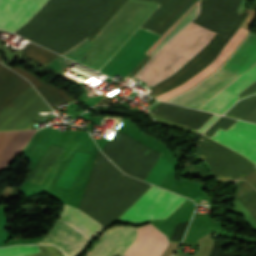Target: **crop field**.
Listing matches in <instances>:
<instances>
[{"label": "crop field", "mask_w": 256, "mask_h": 256, "mask_svg": "<svg viewBox=\"0 0 256 256\" xmlns=\"http://www.w3.org/2000/svg\"><path fill=\"white\" fill-rule=\"evenodd\" d=\"M46 1L0 0V28L14 32ZM114 1L49 0L24 27L14 33L62 54L98 26Z\"/></svg>", "instance_id": "obj_1"}, {"label": "crop field", "mask_w": 256, "mask_h": 256, "mask_svg": "<svg viewBox=\"0 0 256 256\" xmlns=\"http://www.w3.org/2000/svg\"><path fill=\"white\" fill-rule=\"evenodd\" d=\"M149 187L97 152L78 209L107 228Z\"/></svg>", "instance_id": "obj_2"}, {"label": "crop field", "mask_w": 256, "mask_h": 256, "mask_svg": "<svg viewBox=\"0 0 256 256\" xmlns=\"http://www.w3.org/2000/svg\"><path fill=\"white\" fill-rule=\"evenodd\" d=\"M157 7L153 3L129 0L91 42L86 38L63 55L99 70Z\"/></svg>", "instance_id": "obj_3"}, {"label": "crop field", "mask_w": 256, "mask_h": 256, "mask_svg": "<svg viewBox=\"0 0 256 256\" xmlns=\"http://www.w3.org/2000/svg\"><path fill=\"white\" fill-rule=\"evenodd\" d=\"M213 35L192 23L187 24L135 78L151 86L159 83L195 56Z\"/></svg>", "instance_id": "obj_4"}, {"label": "crop field", "mask_w": 256, "mask_h": 256, "mask_svg": "<svg viewBox=\"0 0 256 256\" xmlns=\"http://www.w3.org/2000/svg\"><path fill=\"white\" fill-rule=\"evenodd\" d=\"M256 64V35L248 34L229 59L220 67L241 75ZM218 68L201 82L168 102L197 109L239 75Z\"/></svg>", "instance_id": "obj_5"}, {"label": "crop field", "mask_w": 256, "mask_h": 256, "mask_svg": "<svg viewBox=\"0 0 256 256\" xmlns=\"http://www.w3.org/2000/svg\"><path fill=\"white\" fill-rule=\"evenodd\" d=\"M204 159L210 167V172L218 179L223 178H242L255 166L248 162L242 156L201 137L197 142V151L195 153Z\"/></svg>", "instance_id": "obj_6"}, {"label": "crop field", "mask_w": 256, "mask_h": 256, "mask_svg": "<svg viewBox=\"0 0 256 256\" xmlns=\"http://www.w3.org/2000/svg\"><path fill=\"white\" fill-rule=\"evenodd\" d=\"M185 200L152 186L119 220L138 224L152 219H166Z\"/></svg>", "instance_id": "obj_7"}, {"label": "crop field", "mask_w": 256, "mask_h": 256, "mask_svg": "<svg viewBox=\"0 0 256 256\" xmlns=\"http://www.w3.org/2000/svg\"><path fill=\"white\" fill-rule=\"evenodd\" d=\"M38 111L52 110L30 85L0 110V130L30 129Z\"/></svg>", "instance_id": "obj_8"}, {"label": "crop field", "mask_w": 256, "mask_h": 256, "mask_svg": "<svg viewBox=\"0 0 256 256\" xmlns=\"http://www.w3.org/2000/svg\"><path fill=\"white\" fill-rule=\"evenodd\" d=\"M248 11L249 9L245 8L244 12L240 16L239 20L237 21L227 38L215 34L211 41L186 66L180 69L172 77L152 87L151 89H153L154 91L150 92L149 94L158 95L162 92L170 90L190 79L196 73L200 72L203 68H205L209 63H211L216 55L219 53V51L222 49V47L230 39L231 35L238 29L239 25L244 20Z\"/></svg>", "instance_id": "obj_9"}, {"label": "crop field", "mask_w": 256, "mask_h": 256, "mask_svg": "<svg viewBox=\"0 0 256 256\" xmlns=\"http://www.w3.org/2000/svg\"><path fill=\"white\" fill-rule=\"evenodd\" d=\"M212 139L256 163V125L238 121L227 131L219 128Z\"/></svg>", "instance_id": "obj_10"}, {"label": "crop field", "mask_w": 256, "mask_h": 256, "mask_svg": "<svg viewBox=\"0 0 256 256\" xmlns=\"http://www.w3.org/2000/svg\"><path fill=\"white\" fill-rule=\"evenodd\" d=\"M136 235V229L133 227L112 226L93 243L85 256L123 255Z\"/></svg>", "instance_id": "obj_11"}, {"label": "crop field", "mask_w": 256, "mask_h": 256, "mask_svg": "<svg viewBox=\"0 0 256 256\" xmlns=\"http://www.w3.org/2000/svg\"><path fill=\"white\" fill-rule=\"evenodd\" d=\"M90 239L72 224L58 219L55 227L43 239L34 244H55L67 256H74Z\"/></svg>", "instance_id": "obj_12"}, {"label": "crop field", "mask_w": 256, "mask_h": 256, "mask_svg": "<svg viewBox=\"0 0 256 256\" xmlns=\"http://www.w3.org/2000/svg\"><path fill=\"white\" fill-rule=\"evenodd\" d=\"M256 80V65L202 105L199 110L224 114L235 102L238 94Z\"/></svg>", "instance_id": "obj_13"}, {"label": "crop field", "mask_w": 256, "mask_h": 256, "mask_svg": "<svg viewBox=\"0 0 256 256\" xmlns=\"http://www.w3.org/2000/svg\"><path fill=\"white\" fill-rule=\"evenodd\" d=\"M138 236L125 256H161L168 245L166 236L151 224L137 227Z\"/></svg>", "instance_id": "obj_14"}, {"label": "crop field", "mask_w": 256, "mask_h": 256, "mask_svg": "<svg viewBox=\"0 0 256 256\" xmlns=\"http://www.w3.org/2000/svg\"><path fill=\"white\" fill-rule=\"evenodd\" d=\"M247 31H243L238 29L232 36V38L228 41V43L223 47V49L220 51V53L217 55V57L214 59V61L209 64L205 69H203L200 73L196 74L194 77H192L190 80L186 81L185 83L181 84L180 86L167 91L163 94H160L156 96L155 98L161 99V100H168L169 98L185 91L186 89L192 87L197 82H199L201 79H203L205 76L210 74L212 71H214L218 66L226 59V57L234 50V48L238 45V43L247 35Z\"/></svg>", "instance_id": "obj_15"}, {"label": "crop field", "mask_w": 256, "mask_h": 256, "mask_svg": "<svg viewBox=\"0 0 256 256\" xmlns=\"http://www.w3.org/2000/svg\"><path fill=\"white\" fill-rule=\"evenodd\" d=\"M35 131H0V170L22 150Z\"/></svg>", "instance_id": "obj_16"}, {"label": "crop field", "mask_w": 256, "mask_h": 256, "mask_svg": "<svg viewBox=\"0 0 256 256\" xmlns=\"http://www.w3.org/2000/svg\"><path fill=\"white\" fill-rule=\"evenodd\" d=\"M30 84L0 65V109Z\"/></svg>", "instance_id": "obj_17"}, {"label": "crop field", "mask_w": 256, "mask_h": 256, "mask_svg": "<svg viewBox=\"0 0 256 256\" xmlns=\"http://www.w3.org/2000/svg\"><path fill=\"white\" fill-rule=\"evenodd\" d=\"M59 218L72 223L77 228L89 235L93 240L102 229H105L89 216L72 206L64 205Z\"/></svg>", "instance_id": "obj_18"}, {"label": "crop field", "mask_w": 256, "mask_h": 256, "mask_svg": "<svg viewBox=\"0 0 256 256\" xmlns=\"http://www.w3.org/2000/svg\"><path fill=\"white\" fill-rule=\"evenodd\" d=\"M0 63H2L1 59H0ZM12 70L17 72L21 76L27 78L52 108L54 107L55 104L64 103V102L73 100L63 91L51 85L44 84L43 82H41L40 80H38L37 78H35L34 76H32L30 73L26 71H23L17 67L12 68Z\"/></svg>", "instance_id": "obj_19"}, {"label": "crop field", "mask_w": 256, "mask_h": 256, "mask_svg": "<svg viewBox=\"0 0 256 256\" xmlns=\"http://www.w3.org/2000/svg\"><path fill=\"white\" fill-rule=\"evenodd\" d=\"M198 6L199 0H197L145 53L153 57L177 31L196 16Z\"/></svg>", "instance_id": "obj_20"}, {"label": "crop field", "mask_w": 256, "mask_h": 256, "mask_svg": "<svg viewBox=\"0 0 256 256\" xmlns=\"http://www.w3.org/2000/svg\"><path fill=\"white\" fill-rule=\"evenodd\" d=\"M237 200L256 222V190L245 181L238 184Z\"/></svg>", "instance_id": "obj_21"}, {"label": "crop field", "mask_w": 256, "mask_h": 256, "mask_svg": "<svg viewBox=\"0 0 256 256\" xmlns=\"http://www.w3.org/2000/svg\"><path fill=\"white\" fill-rule=\"evenodd\" d=\"M24 51V55L32 58L33 60L46 65L48 64L51 60H53L54 58H56L57 54L50 52L48 50H45L31 42H29L23 49H21ZM31 59V60H32Z\"/></svg>", "instance_id": "obj_22"}, {"label": "crop field", "mask_w": 256, "mask_h": 256, "mask_svg": "<svg viewBox=\"0 0 256 256\" xmlns=\"http://www.w3.org/2000/svg\"><path fill=\"white\" fill-rule=\"evenodd\" d=\"M40 252L38 246L19 245L0 249V256H26Z\"/></svg>", "instance_id": "obj_23"}, {"label": "crop field", "mask_w": 256, "mask_h": 256, "mask_svg": "<svg viewBox=\"0 0 256 256\" xmlns=\"http://www.w3.org/2000/svg\"><path fill=\"white\" fill-rule=\"evenodd\" d=\"M128 0H116L114 3L112 9L109 11V13L106 15V17L103 19V21L99 24V26L93 30L90 35L87 37L88 40H92L96 34L109 22V20L122 8V6L127 2Z\"/></svg>", "instance_id": "obj_24"}, {"label": "crop field", "mask_w": 256, "mask_h": 256, "mask_svg": "<svg viewBox=\"0 0 256 256\" xmlns=\"http://www.w3.org/2000/svg\"><path fill=\"white\" fill-rule=\"evenodd\" d=\"M42 252L30 256H64L57 247L39 246Z\"/></svg>", "instance_id": "obj_25"}, {"label": "crop field", "mask_w": 256, "mask_h": 256, "mask_svg": "<svg viewBox=\"0 0 256 256\" xmlns=\"http://www.w3.org/2000/svg\"><path fill=\"white\" fill-rule=\"evenodd\" d=\"M151 57L145 56L138 64L137 66L127 75V77L132 78L149 60Z\"/></svg>", "instance_id": "obj_26"}, {"label": "crop field", "mask_w": 256, "mask_h": 256, "mask_svg": "<svg viewBox=\"0 0 256 256\" xmlns=\"http://www.w3.org/2000/svg\"><path fill=\"white\" fill-rule=\"evenodd\" d=\"M220 117L213 115L211 118H209L202 127L197 131V133L203 134L216 120H218Z\"/></svg>", "instance_id": "obj_27"}, {"label": "crop field", "mask_w": 256, "mask_h": 256, "mask_svg": "<svg viewBox=\"0 0 256 256\" xmlns=\"http://www.w3.org/2000/svg\"><path fill=\"white\" fill-rule=\"evenodd\" d=\"M241 119L256 122V107H254L251 111L245 114Z\"/></svg>", "instance_id": "obj_28"}, {"label": "crop field", "mask_w": 256, "mask_h": 256, "mask_svg": "<svg viewBox=\"0 0 256 256\" xmlns=\"http://www.w3.org/2000/svg\"><path fill=\"white\" fill-rule=\"evenodd\" d=\"M251 183V185L256 189V169L249 173L245 178H243Z\"/></svg>", "instance_id": "obj_29"}]
</instances>
